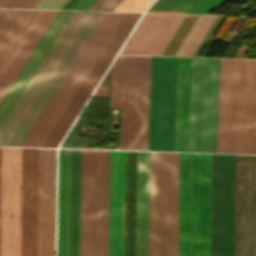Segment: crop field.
<instances>
[{
	"mask_svg": "<svg viewBox=\"0 0 256 256\" xmlns=\"http://www.w3.org/2000/svg\"><path fill=\"white\" fill-rule=\"evenodd\" d=\"M109 151L59 149L57 256H107Z\"/></svg>",
	"mask_w": 256,
	"mask_h": 256,
	"instance_id": "crop-field-1",
	"label": "crop field"
},
{
	"mask_svg": "<svg viewBox=\"0 0 256 256\" xmlns=\"http://www.w3.org/2000/svg\"><path fill=\"white\" fill-rule=\"evenodd\" d=\"M103 14L74 11L0 127V145L21 146Z\"/></svg>",
	"mask_w": 256,
	"mask_h": 256,
	"instance_id": "crop-field-2",
	"label": "crop field"
},
{
	"mask_svg": "<svg viewBox=\"0 0 256 256\" xmlns=\"http://www.w3.org/2000/svg\"><path fill=\"white\" fill-rule=\"evenodd\" d=\"M150 57L118 55L110 107L122 108L120 149L147 150Z\"/></svg>",
	"mask_w": 256,
	"mask_h": 256,
	"instance_id": "crop-field-3",
	"label": "crop field"
},
{
	"mask_svg": "<svg viewBox=\"0 0 256 256\" xmlns=\"http://www.w3.org/2000/svg\"><path fill=\"white\" fill-rule=\"evenodd\" d=\"M125 15L105 12L22 146L42 147Z\"/></svg>",
	"mask_w": 256,
	"mask_h": 256,
	"instance_id": "crop-field-4",
	"label": "crop field"
},
{
	"mask_svg": "<svg viewBox=\"0 0 256 256\" xmlns=\"http://www.w3.org/2000/svg\"><path fill=\"white\" fill-rule=\"evenodd\" d=\"M57 11L42 10L0 77V102L44 34ZM73 11H58L11 88L0 103V126L35 73Z\"/></svg>",
	"mask_w": 256,
	"mask_h": 256,
	"instance_id": "crop-field-5",
	"label": "crop field"
},
{
	"mask_svg": "<svg viewBox=\"0 0 256 256\" xmlns=\"http://www.w3.org/2000/svg\"><path fill=\"white\" fill-rule=\"evenodd\" d=\"M246 60L220 59L217 152L243 153Z\"/></svg>",
	"mask_w": 256,
	"mask_h": 256,
	"instance_id": "crop-field-6",
	"label": "crop field"
},
{
	"mask_svg": "<svg viewBox=\"0 0 256 256\" xmlns=\"http://www.w3.org/2000/svg\"><path fill=\"white\" fill-rule=\"evenodd\" d=\"M218 74L219 59L193 58L190 151L216 152Z\"/></svg>",
	"mask_w": 256,
	"mask_h": 256,
	"instance_id": "crop-field-7",
	"label": "crop field"
},
{
	"mask_svg": "<svg viewBox=\"0 0 256 256\" xmlns=\"http://www.w3.org/2000/svg\"><path fill=\"white\" fill-rule=\"evenodd\" d=\"M155 57H151L148 150H151ZM177 57H156L152 150L174 151Z\"/></svg>",
	"mask_w": 256,
	"mask_h": 256,
	"instance_id": "crop-field-8",
	"label": "crop field"
},
{
	"mask_svg": "<svg viewBox=\"0 0 256 256\" xmlns=\"http://www.w3.org/2000/svg\"><path fill=\"white\" fill-rule=\"evenodd\" d=\"M21 148L2 147L1 256H20Z\"/></svg>",
	"mask_w": 256,
	"mask_h": 256,
	"instance_id": "crop-field-9",
	"label": "crop field"
},
{
	"mask_svg": "<svg viewBox=\"0 0 256 256\" xmlns=\"http://www.w3.org/2000/svg\"><path fill=\"white\" fill-rule=\"evenodd\" d=\"M156 181L157 152H150L149 210V152H137L135 256H148V210L149 256H155Z\"/></svg>",
	"mask_w": 256,
	"mask_h": 256,
	"instance_id": "crop-field-10",
	"label": "crop field"
},
{
	"mask_svg": "<svg viewBox=\"0 0 256 256\" xmlns=\"http://www.w3.org/2000/svg\"><path fill=\"white\" fill-rule=\"evenodd\" d=\"M198 154L179 153L178 256H197Z\"/></svg>",
	"mask_w": 256,
	"mask_h": 256,
	"instance_id": "crop-field-11",
	"label": "crop field"
},
{
	"mask_svg": "<svg viewBox=\"0 0 256 256\" xmlns=\"http://www.w3.org/2000/svg\"><path fill=\"white\" fill-rule=\"evenodd\" d=\"M175 210H176V153L158 152L157 181V240L159 230L172 231V256H175ZM177 211H178V153H177ZM176 211V256H177ZM159 256H171V232L160 231Z\"/></svg>",
	"mask_w": 256,
	"mask_h": 256,
	"instance_id": "crop-field-12",
	"label": "crop field"
},
{
	"mask_svg": "<svg viewBox=\"0 0 256 256\" xmlns=\"http://www.w3.org/2000/svg\"><path fill=\"white\" fill-rule=\"evenodd\" d=\"M141 13H127L43 147H57Z\"/></svg>",
	"mask_w": 256,
	"mask_h": 256,
	"instance_id": "crop-field-13",
	"label": "crop field"
},
{
	"mask_svg": "<svg viewBox=\"0 0 256 256\" xmlns=\"http://www.w3.org/2000/svg\"><path fill=\"white\" fill-rule=\"evenodd\" d=\"M56 149L39 148L37 256H54Z\"/></svg>",
	"mask_w": 256,
	"mask_h": 256,
	"instance_id": "crop-field-14",
	"label": "crop field"
},
{
	"mask_svg": "<svg viewBox=\"0 0 256 256\" xmlns=\"http://www.w3.org/2000/svg\"><path fill=\"white\" fill-rule=\"evenodd\" d=\"M125 180L126 151H110L108 256H125Z\"/></svg>",
	"mask_w": 256,
	"mask_h": 256,
	"instance_id": "crop-field-15",
	"label": "crop field"
},
{
	"mask_svg": "<svg viewBox=\"0 0 256 256\" xmlns=\"http://www.w3.org/2000/svg\"><path fill=\"white\" fill-rule=\"evenodd\" d=\"M38 148H22L21 256H36Z\"/></svg>",
	"mask_w": 256,
	"mask_h": 256,
	"instance_id": "crop-field-16",
	"label": "crop field"
},
{
	"mask_svg": "<svg viewBox=\"0 0 256 256\" xmlns=\"http://www.w3.org/2000/svg\"><path fill=\"white\" fill-rule=\"evenodd\" d=\"M184 17L144 13L120 54L161 55Z\"/></svg>",
	"mask_w": 256,
	"mask_h": 256,
	"instance_id": "crop-field-17",
	"label": "crop field"
},
{
	"mask_svg": "<svg viewBox=\"0 0 256 256\" xmlns=\"http://www.w3.org/2000/svg\"><path fill=\"white\" fill-rule=\"evenodd\" d=\"M192 58L178 57L175 151H189Z\"/></svg>",
	"mask_w": 256,
	"mask_h": 256,
	"instance_id": "crop-field-18",
	"label": "crop field"
},
{
	"mask_svg": "<svg viewBox=\"0 0 256 256\" xmlns=\"http://www.w3.org/2000/svg\"><path fill=\"white\" fill-rule=\"evenodd\" d=\"M211 154H199L198 256H209Z\"/></svg>",
	"mask_w": 256,
	"mask_h": 256,
	"instance_id": "crop-field-19",
	"label": "crop field"
},
{
	"mask_svg": "<svg viewBox=\"0 0 256 256\" xmlns=\"http://www.w3.org/2000/svg\"><path fill=\"white\" fill-rule=\"evenodd\" d=\"M244 153H256V60H247Z\"/></svg>",
	"mask_w": 256,
	"mask_h": 256,
	"instance_id": "crop-field-20",
	"label": "crop field"
},
{
	"mask_svg": "<svg viewBox=\"0 0 256 256\" xmlns=\"http://www.w3.org/2000/svg\"><path fill=\"white\" fill-rule=\"evenodd\" d=\"M31 10L1 9L0 11V59L16 36ZM12 13V15H10Z\"/></svg>",
	"mask_w": 256,
	"mask_h": 256,
	"instance_id": "crop-field-21",
	"label": "crop field"
},
{
	"mask_svg": "<svg viewBox=\"0 0 256 256\" xmlns=\"http://www.w3.org/2000/svg\"><path fill=\"white\" fill-rule=\"evenodd\" d=\"M216 16L199 15L175 55L192 56Z\"/></svg>",
	"mask_w": 256,
	"mask_h": 256,
	"instance_id": "crop-field-22",
	"label": "crop field"
},
{
	"mask_svg": "<svg viewBox=\"0 0 256 256\" xmlns=\"http://www.w3.org/2000/svg\"><path fill=\"white\" fill-rule=\"evenodd\" d=\"M40 12H41V10H32V12L30 13L29 17L25 21V23L22 26V28L20 29L19 33L17 34V36L13 40L12 44L8 48L7 52L3 56L2 60L0 61V75L2 74L5 67L7 66L9 61L11 60L12 56L16 52L17 48L21 44L22 40L24 39V37L28 33L29 29L33 25L34 21L36 20V18L38 17Z\"/></svg>",
	"mask_w": 256,
	"mask_h": 256,
	"instance_id": "crop-field-23",
	"label": "crop field"
},
{
	"mask_svg": "<svg viewBox=\"0 0 256 256\" xmlns=\"http://www.w3.org/2000/svg\"><path fill=\"white\" fill-rule=\"evenodd\" d=\"M196 1L197 0H156L147 11L185 13Z\"/></svg>",
	"mask_w": 256,
	"mask_h": 256,
	"instance_id": "crop-field-24",
	"label": "crop field"
},
{
	"mask_svg": "<svg viewBox=\"0 0 256 256\" xmlns=\"http://www.w3.org/2000/svg\"><path fill=\"white\" fill-rule=\"evenodd\" d=\"M153 0H123L114 11L143 12Z\"/></svg>",
	"mask_w": 256,
	"mask_h": 256,
	"instance_id": "crop-field-25",
	"label": "crop field"
},
{
	"mask_svg": "<svg viewBox=\"0 0 256 256\" xmlns=\"http://www.w3.org/2000/svg\"><path fill=\"white\" fill-rule=\"evenodd\" d=\"M224 1L227 0H198L187 13H205Z\"/></svg>",
	"mask_w": 256,
	"mask_h": 256,
	"instance_id": "crop-field-26",
	"label": "crop field"
},
{
	"mask_svg": "<svg viewBox=\"0 0 256 256\" xmlns=\"http://www.w3.org/2000/svg\"><path fill=\"white\" fill-rule=\"evenodd\" d=\"M122 0H96L88 10L113 11Z\"/></svg>",
	"mask_w": 256,
	"mask_h": 256,
	"instance_id": "crop-field-27",
	"label": "crop field"
},
{
	"mask_svg": "<svg viewBox=\"0 0 256 256\" xmlns=\"http://www.w3.org/2000/svg\"><path fill=\"white\" fill-rule=\"evenodd\" d=\"M194 17H195V15H189V17L187 18L186 22L184 23V25L180 29L179 33L175 37L174 41L172 42V44L168 48V50L165 53V55H170V53L172 52V50L174 49V47L176 46V44L178 43V41L180 40V38L182 37L183 33L185 32V30L187 29V27L189 26V24L191 23V21L193 20Z\"/></svg>",
	"mask_w": 256,
	"mask_h": 256,
	"instance_id": "crop-field-28",
	"label": "crop field"
},
{
	"mask_svg": "<svg viewBox=\"0 0 256 256\" xmlns=\"http://www.w3.org/2000/svg\"><path fill=\"white\" fill-rule=\"evenodd\" d=\"M67 0H41L35 8L60 9Z\"/></svg>",
	"mask_w": 256,
	"mask_h": 256,
	"instance_id": "crop-field-29",
	"label": "crop field"
},
{
	"mask_svg": "<svg viewBox=\"0 0 256 256\" xmlns=\"http://www.w3.org/2000/svg\"><path fill=\"white\" fill-rule=\"evenodd\" d=\"M40 0H12L6 7L34 8Z\"/></svg>",
	"mask_w": 256,
	"mask_h": 256,
	"instance_id": "crop-field-30",
	"label": "crop field"
},
{
	"mask_svg": "<svg viewBox=\"0 0 256 256\" xmlns=\"http://www.w3.org/2000/svg\"><path fill=\"white\" fill-rule=\"evenodd\" d=\"M95 0H79L72 9L87 10Z\"/></svg>",
	"mask_w": 256,
	"mask_h": 256,
	"instance_id": "crop-field-31",
	"label": "crop field"
},
{
	"mask_svg": "<svg viewBox=\"0 0 256 256\" xmlns=\"http://www.w3.org/2000/svg\"><path fill=\"white\" fill-rule=\"evenodd\" d=\"M78 0H68L61 9H71Z\"/></svg>",
	"mask_w": 256,
	"mask_h": 256,
	"instance_id": "crop-field-32",
	"label": "crop field"
},
{
	"mask_svg": "<svg viewBox=\"0 0 256 256\" xmlns=\"http://www.w3.org/2000/svg\"><path fill=\"white\" fill-rule=\"evenodd\" d=\"M0 209H1V147H0Z\"/></svg>",
	"mask_w": 256,
	"mask_h": 256,
	"instance_id": "crop-field-33",
	"label": "crop field"
},
{
	"mask_svg": "<svg viewBox=\"0 0 256 256\" xmlns=\"http://www.w3.org/2000/svg\"><path fill=\"white\" fill-rule=\"evenodd\" d=\"M9 2L10 0H0V7H5Z\"/></svg>",
	"mask_w": 256,
	"mask_h": 256,
	"instance_id": "crop-field-34",
	"label": "crop field"
}]
</instances>
